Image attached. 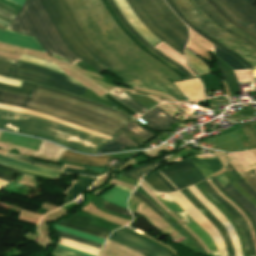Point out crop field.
Instances as JSON below:
<instances>
[{
  "label": "crop field",
  "mask_w": 256,
  "mask_h": 256,
  "mask_svg": "<svg viewBox=\"0 0 256 256\" xmlns=\"http://www.w3.org/2000/svg\"><path fill=\"white\" fill-rule=\"evenodd\" d=\"M66 2L80 22L85 34L111 60L141 79L145 84L169 89L184 98L180 91L166 79L174 81L180 78L139 49L121 31L101 0H66ZM152 86L148 87L166 92L178 101L185 99L169 90Z\"/></svg>",
  "instance_id": "1"
},
{
  "label": "crop field",
  "mask_w": 256,
  "mask_h": 256,
  "mask_svg": "<svg viewBox=\"0 0 256 256\" xmlns=\"http://www.w3.org/2000/svg\"><path fill=\"white\" fill-rule=\"evenodd\" d=\"M0 102L37 110L112 137L130 119L101 104L40 86L30 97L3 92Z\"/></svg>",
  "instance_id": "2"
},
{
  "label": "crop field",
  "mask_w": 256,
  "mask_h": 256,
  "mask_svg": "<svg viewBox=\"0 0 256 256\" xmlns=\"http://www.w3.org/2000/svg\"><path fill=\"white\" fill-rule=\"evenodd\" d=\"M0 128L40 136L90 154H96V151L107 143L99 137L56 122L2 109H0Z\"/></svg>",
  "instance_id": "3"
},
{
  "label": "crop field",
  "mask_w": 256,
  "mask_h": 256,
  "mask_svg": "<svg viewBox=\"0 0 256 256\" xmlns=\"http://www.w3.org/2000/svg\"><path fill=\"white\" fill-rule=\"evenodd\" d=\"M6 29L35 37L49 54L80 59L62 40L40 0H26Z\"/></svg>",
  "instance_id": "4"
},
{
  "label": "crop field",
  "mask_w": 256,
  "mask_h": 256,
  "mask_svg": "<svg viewBox=\"0 0 256 256\" xmlns=\"http://www.w3.org/2000/svg\"><path fill=\"white\" fill-rule=\"evenodd\" d=\"M127 2L154 35L183 53L188 38L187 27L163 0H127Z\"/></svg>",
  "instance_id": "5"
},
{
  "label": "crop field",
  "mask_w": 256,
  "mask_h": 256,
  "mask_svg": "<svg viewBox=\"0 0 256 256\" xmlns=\"http://www.w3.org/2000/svg\"><path fill=\"white\" fill-rule=\"evenodd\" d=\"M23 62L0 57V75L23 80V81L37 83L45 87H52V88L63 90L68 93L76 94L79 96H81L85 92V90L88 89L68 76L61 74L86 89L80 87L79 85L75 84L74 82L68 80L63 76L58 75L60 73L55 74L57 72L52 73L54 71L48 68L40 67V66L25 62V63L31 64L52 72L25 64Z\"/></svg>",
  "instance_id": "6"
},
{
  "label": "crop field",
  "mask_w": 256,
  "mask_h": 256,
  "mask_svg": "<svg viewBox=\"0 0 256 256\" xmlns=\"http://www.w3.org/2000/svg\"><path fill=\"white\" fill-rule=\"evenodd\" d=\"M160 172L177 188L183 189L203 179L204 175L188 159L160 170ZM154 175L160 179L171 191L176 190L159 172Z\"/></svg>",
  "instance_id": "7"
},
{
  "label": "crop field",
  "mask_w": 256,
  "mask_h": 256,
  "mask_svg": "<svg viewBox=\"0 0 256 256\" xmlns=\"http://www.w3.org/2000/svg\"><path fill=\"white\" fill-rule=\"evenodd\" d=\"M41 2L69 48L99 73L106 69L100 63H98L91 55H89L73 37L69 27L61 17L54 2L52 0H41Z\"/></svg>",
  "instance_id": "8"
},
{
  "label": "crop field",
  "mask_w": 256,
  "mask_h": 256,
  "mask_svg": "<svg viewBox=\"0 0 256 256\" xmlns=\"http://www.w3.org/2000/svg\"><path fill=\"white\" fill-rule=\"evenodd\" d=\"M228 16L256 34V8L248 0H213Z\"/></svg>",
  "instance_id": "9"
},
{
  "label": "crop field",
  "mask_w": 256,
  "mask_h": 256,
  "mask_svg": "<svg viewBox=\"0 0 256 256\" xmlns=\"http://www.w3.org/2000/svg\"><path fill=\"white\" fill-rule=\"evenodd\" d=\"M58 7L61 15L63 16L64 20L70 27L73 35L82 45V47L94 57H96L101 63L105 66H110L114 64L111 60H109L105 55H103L98 48L91 42V40L84 34L80 24L78 23L77 19L67 6L65 0H53ZM95 58V59H96ZM96 59V60H97Z\"/></svg>",
  "instance_id": "10"
},
{
  "label": "crop field",
  "mask_w": 256,
  "mask_h": 256,
  "mask_svg": "<svg viewBox=\"0 0 256 256\" xmlns=\"http://www.w3.org/2000/svg\"><path fill=\"white\" fill-rule=\"evenodd\" d=\"M181 12L198 28L209 36L219 39L228 34L211 22L192 0H173Z\"/></svg>",
  "instance_id": "11"
},
{
  "label": "crop field",
  "mask_w": 256,
  "mask_h": 256,
  "mask_svg": "<svg viewBox=\"0 0 256 256\" xmlns=\"http://www.w3.org/2000/svg\"><path fill=\"white\" fill-rule=\"evenodd\" d=\"M230 165L238 172L256 167V157L251 151L227 153ZM241 178L256 192V168L240 173Z\"/></svg>",
  "instance_id": "12"
},
{
  "label": "crop field",
  "mask_w": 256,
  "mask_h": 256,
  "mask_svg": "<svg viewBox=\"0 0 256 256\" xmlns=\"http://www.w3.org/2000/svg\"><path fill=\"white\" fill-rule=\"evenodd\" d=\"M110 240L132 248L144 256H170L159 247L121 229L113 232Z\"/></svg>",
  "instance_id": "13"
},
{
  "label": "crop field",
  "mask_w": 256,
  "mask_h": 256,
  "mask_svg": "<svg viewBox=\"0 0 256 256\" xmlns=\"http://www.w3.org/2000/svg\"><path fill=\"white\" fill-rule=\"evenodd\" d=\"M198 7L210 18L214 23L222 29L237 37L241 41L256 49V39L234 27L232 24L222 18L219 13L206 0H193Z\"/></svg>",
  "instance_id": "14"
},
{
  "label": "crop field",
  "mask_w": 256,
  "mask_h": 256,
  "mask_svg": "<svg viewBox=\"0 0 256 256\" xmlns=\"http://www.w3.org/2000/svg\"><path fill=\"white\" fill-rule=\"evenodd\" d=\"M160 201L168 208H172L176 204L169 196L160 199ZM187 227L194 231L203 241L206 247L211 252L212 256H218L217 248L211 237L182 209L174 213Z\"/></svg>",
  "instance_id": "15"
},
{
  "label": "crop field",
  "mask_w": 256,
  "mask_h": 256,
  "mask_svg": "<svg viewBox=\"0 0 256 256\" xmlns=\"http://www.w3.org/2000/svg\"><path fill=\"white\" fill-rule=\"evenodd\" d=\"M0 42L44 52L43 48L39 45L35 38L18 34L6 29L3 31L0 30Z\"/></svg>",
  "instance_id": "16"
},
{
  "label": "crop field",
  "mask_w": 256,
  "mask_h": 256,
  "mask_svg": "<svg viewBox=\"0 0 256 256\" xmlns=\"http://www.w3.org/2000/svg\"><path fill=\"white\" fill-rule=\"evenodd\" d=\"M180 191L219 230L224 240L228 256H234L231 241L224 227L204 208V206L189 191H187L186 189Z\"/></svg>",
  "instance_id": "17"
},
{
  "label": "crop field",
  "mask_w": 256,
  "mask_h": 256,
  "mask_svg": "<svg viewBox=\"0 0 256 256\" xmlns=\"http://www.w3.org/2000/svg\"><path fill=\"white\" fill-rule=\"evenodd\" d=\"M141 118H143L147 122L145 125L155 130H170L172 128L169 125L176 122V120H174L172 117L167 115L157 106L151 109L150 111H148Z\"/></svg>",
  "instance_id": "18"
},
{
  "label": "crop field",
  "mask_w": 256,
  "mask_h": 256,
  "mask_svg": "<svg viewBox=\"0 0 256 256\" xmlns=\"http://www.w3.org/2000/svg\"><path fill=\"white\" fill-rule=\"evenodd\" d=\"M105 7L107 8V10L109 11V13L111 14V16L114 18V20L116 21V23L119 25V27L122 29V31H124L126 33V35L138 46L140 47L142 50H144L145 52H147L148 54H150L151 56H153L155 59H157L158 61H160L161 63H163L164 65H166L168 68H170L171 70H173L181 79L186 78V76L180 72L177 68H175L173 65H171L169 62H167L166 60L162 59L161 57H159L158 55H156L155 53H153L151 50H149L145 45H143L135 36H133L130 31L124 26V24L120 21V19L117 18L116 14L114 13V11L112 10L111 6L109 5V3L107 2V0H102Z\"/></svg>",
  "instance_id": "19"
},
{
  "label": "crop field",
  "mask_w": 256,
  "mask_h": 256,
  "mask_svg": "<svg viewBox=\"0 0 256 256\" xmlns=\"http://www.w3.org/2000/svg\"><path fill=\"white\" fill-rule=\"evenodd\" d=\"M203 185L206 187V189L219 201L221 202L231 213L232 215L238 220L245 236H246V240L248 243V247H249V252H250V256H256L255 253V249H254V244H253V240H252V236L251 233L248 229V225L245 222V220L243 219V217L241 216V214L236 211L230 204H228L226 201H224L215 191L214 189L210 186V184L206 181L203 182Z\"/></svg>",
  "instance_id": "20"
},
{
  "label": "crop field",
  "mask_w": 256,
  "mask_h": 256,
  "mask_svg": "<svg viewBox=\"0 0 256 256\" xmlns=\"http://www.w3.org/2000/svg\"><path fill=\"white\" fill-rule=\"evenodd\" d=\"M169 6L174 10V12L189 26L191 27L195 32H197L198 34L202 35L203 37H205L206 39H208L209 41H211L213 44L217 45L218 47H220L221 49H223L224 51H226L228 54H230L232 57H234L237 61H239L242 65H244L246 68H253L252 66H250L243 58H241L239 55H237L236 53H234L232 50L224 47L222 44H220L218 41L214 40L213 38L209 37L208 35H206L204 32H202L201 30H199L196 26H194L181 12L180 10L177 8V6L173 3L172 0H165Z\"/></svg>",
  "instance_id": "21"
},
{
  "label": "crop field",
  "mask_w": 256,
  "mask_h": 256,
  "mask_svg": "<svg viewBox=\"0 0 256 256\" xmlns=\"http://www.w3.org/2000/svg\"><path fill=\"white\" fill-rule=\"evenodd\" d=\"M113 10L115 11V13L117 14L118 18H120L122 20V22L126 25V27L131 31V33L133 35H135L143 44H145L149 49H151L153 52H155L156 54L162 56L163 58H165L167 61H169L170 63H172L174 66H176L179 70H181L187 77H190L191 75L178 63L174 62L173 60H171L170 58H168L167 56H165L164 54H162L160 51H158L156 48H154L151 44H149L145 39H143L132 27L131 25L126 21V19L123 17V15L120 13V11L117 9V7L115 6L113 0H109Z\"/></svg>",
  "instance_id": "22"
},
{
  "label": "crop field",
  "mask_w": 256,
  "mask_h": 256,
  "mask_svg": "<svg viewBox=\"0 0 256 256\" xmlns=\"http://www.w3.org/2000/svg\"><path fill=\"white\" fill-rule=\"evenodd\" d=\"M113 157L109 156H86L82 154L73 153L67 151L63 154L61 159L74 161L76 163L88 164V165H107V161Z\"/></svg>",
  "instance_id": "23"
},
{
  "label": "crop field",
  "mask_w": 256,
  "mask_h": 256,
  "mask_svg": "<svg viewBox=\"0 0 256 256\" xmlns=\"http://www.w3.org/2000/svg\"><path fill=\"white\" fill-rule=\"evenodd\" d=\"M188 159H190L200 169L206 178L213 175L223 167L218 158L200 159L193 156Z\"/></svg>",
  "instance_id": "24"
},
{
  "label": "crop field",
  "mask_w": 256,
  "mask_h": 256,
  "mask_svg": "<svg viewBox=\"0 0 256 256\" xmlns=\"http://www.w3.org/2000/svg\"><path fill=\"white\" fill-rule=\"evenodd\" d=\"M0 140L6 141L11 144L18 145V146H22V147H25L28 149H32L35 151L37 150V148L41 142L39 140L30 139V138H26V137L14 135V134H9V133H5V132L1 133Z\"/></svg>",
  "instance_id": "25"
},
{
  "label": "crop field",
  "mask_w": 256,
  "mask_h": 256,
  "mask_svg": "<svg viewBox=\"0 0 256 256\" xmlns=\"http://www.w3.org/2000/svg\"><path fill=\"white\" fill-rule=\"evenodd\" d=\"M216 64H217L218 71L220 72L222 77L226 80L231 93H239L237 78L234 75L233 71L217 57H216Z\"/></svg>",
  "instance_id": "26"
},
{
  "label": "crop field",
  "mask_w": 256,
  "mask_h": 256,
  "mask_svg": "<svg viewBox=\"0 0 256 256\" xmlns=\"http://www.w3.org/2000/svg\"><path fill=\"white\" fill-rule=\"evenodd\" d=\"M129 195L130 193L114 187L113 189H111L110 191H108L107 193L100 197L127 209L126 200L129 197Z\"/></svg>",
  "instance_id": "27"
},
{
  "label": "crop field",
  "mask_w": 256,
  "mask_h": 256,
  "mask_svg": "<svg viewBox=\"0 0 256 256\" xmlns=\"http://www.w3.org/2000/svg\"><path fill=\"white\" fill-rule=\"evenodd\" d=\"M94 180V178L81 176L69 190V192L67 193L68 196L65 198V200L72 201L73 199H75L78 195L85 191Z\"/></svg>",
  "instance_id": "28"
},
{
  "label": "crop field",
  "mask_w": 256,
  "mask_h": 256,
  "mask_svg": "<svg viewBox=\"0 0 256 256\" xmlns=\"http://www.w3.org/2000/svg\"><path fill=\"white\" fill-rule=\"evenodd\" d=\"M118 90L119 92H121V95H117L115 94L112 90ZM110 91H108L111 95H113L115 98H117L119 101L125 103L126 105H128L129 107H131L132 109H134L135 111H137L138 113L142 114L143 112L147 111L148 109H146L144 106H142L141 104L137 103L136 101H134L133 99H131L129 96H127L125 93H123L121 90H119L117 87L114 88Z\"/></svg>",
  "instance_id": "29"
},
{
  "label": "crop field",
  "mask_w": 256,
  "mask_h": 256,
  "mask_svg": "<svg viewBox=\"0 0 256 256\" xmlns=\"http://www.w3.org/2000/svg\"><path fill=\"white\" fill-rule=\"evenodd\" d=\"M36 87H37L36 85H32L24 82L22 83L20 88L0 83V90H5L8 92H12L20 95H26V96H30L31 93L36 89Z\"/></svg>",
  "instance_id": "30"
},
{
  "label": "crop field",
  "mask_w": 256,
  "mask_h": 256,
  "mask_svg": "<svg viewBox=\"0 0 256 256\" xmlns=\"http://www.w3.org/2000/svg\"><path fill=\"white\" fill-rule=\"evenodd\" d=\"M0 160H3L5 162H8V163L20 166V167H24V168H28V169H32V170H36V171L56 175V176H60V175L64 174V173H60L58 171H54V170H51V169L28 165V164L22 163L20 161H17V160H14V159H11V158H8V157H5V156H1V155H0Z\"/></svg>",
  "instance_id": "31"
},
{
  "label": "crop field",
  "mask_w": 256,
  "mask_h": 256,
  "mask_svg": "<svg viewBox=\"0 0 256 256\" xmlns=\"http://www.w3.org/2000/svg\"><path fill=\"white\" fill-rule=\"evenodd\" d=\"M226 191H228L234 198H236L241 204H243L255 217L256 219V208L253 206V204L245 199L243 196H241L233 187L231 184H228L224 187Z\"/></svg>",
  "instance_id": "32"
},
{
  "label": "crop field",
  "mask_w": 256,
  "mask_h": 256,
  "mask_svg": "<svg viewBox=\"0 0 256 256\" xmlns=\"http://www.w3.org/2000/svg\"><path fill=\"white\" fill-rule=\"evenodd\" d=\"M162 160V159H160ZM160 160L155 161L151 164H147V165H143V166H139L136 167L134 169H131L129 171L123 172L121 174L129 177V178H133L138 180L140 176L144 175L150 168L154 167ZM151 170V169H150Z\"/></svg>",
  "instance_id": "33"
},
{
  "label": "crop field",
  "mask_w": 256,
  "mask_h": 256,
  "mask_svg": "<svg viewBox=\"0 0 256 256\" xmlns=\"http://www.w3.org/2000/svg\"><path fill=\"white\" fill-rule=\"evenodd\" d=\"M113 72H115L120 78H122L124 81H128V82H135V83H141L138 79H136L135 77H133L132 75H130L128 72H126L125 70H123L122 68H120L118 65L114 64L112 66L109 67ZM133 84L135 86H139V87H144L147 88L145 85H141V84H134V83H130ZM149 89V88H148Z\"/></svg>",
  "instance_id": "34"
},
{
  "label": "crop field",
  "mask_w": 256,
  "mask_h": 256,
  "mask_svg": "<svg viewBox=\"0 0 256 256\" xmlns=\"http://www.w3.org/2000/svg\"><path fill=\"white\" fill-rule=\"evenodd\" d=\"M125 128L146 140L155 135L141 127L138 123H136L133 120L127 126H125Z\"/></svg>",
  "instance_id": "35"
},
{
  "label": "crop field",
  "mask_w": 256,
  "mask_h": 256,
  "mask_svg": "<svg viewBox=\"0 0 256 256\" xmlns=\"http://www.w3.org/2000/svg\"><path fill=\"white\" fill-rule=\"evenodd\" d=\"M215 55L223 60L225 63L230 65L233 70L238 69H245L239 62L229 56L226 52L220 50L219 48L215 47Z\"/></svg>",
  "instance_id": "36"
},
{
  "label": "crop field",
  "mask_w": 256,
  "mask_h": 256,
  "mask_svg": "<svg viewBox=\"0 0 256 256\" xmlns=\"http://www.w3.org/2000/svg\"><path fill=\"white\" fill-rule=\"evenodd\" d=\"M54 228L57 229V230L75 235V236H79V237H82V238H85V239H88V240H91V241L101 243V244H103V242H104V239H101V238H98V237H95V236H92V235H89V234L81 233V232H78V231L70 230V229H67V228L62 227V226L54 225Z\"/></svg>",
  "instance_id": "37"
},
{
  "label": "crop field",
  "mask_w": 256,
  "mask_h": 256,
  "mask_svg": "<svg viewBox=\"0 0 256 256\" xmlns=\"http://www.w3.org/2000/svg\"><path fill=\"white\" fill-rule=\"evenodd\" d=\"M144 180L155 190L160 192H169L170 190L160 181L158 180L153 174L144 178Z\"/></svg>",
  "instance_id": "38"
},
{
  "label": "crop field",
  "mask_w": 256,
  "mask_h": 256,
  "mask_svg": "<svg viewBox=\"0 0 256 256\" xmlns=\"http://www.w3.org/2000/svg\"><path fill=\"white\" fill-rule=\"evenodd\" d=\"M101 97H103L105 100H107L110 104H112L117 109H119V110H121V111H123V112H125V113H127L131 116L136 113L133 110H131L130 108H128L125 105H123L122 103H120L119 101H117L115 98H113L108 93L101 96Z\"/></svg>",
  "instance_id": "39"
},
{
  "label": "crop field",
  "mask_w": 256,
  "mask_h": 256,
  "mask_svg": "<svg viewBox=\"0 0 256 256\" xmlns=\"http://www.w3.org/2000/svg\"><path fill=\"white\" fill-rule=\"evenodd\" d=\"M112 141L119 143L125 147H140V145H138L132 139H130L120 133L116 137H114V139Z\"/></svg>",
  "instance_id": "40"
},
{
  "label": "crop field",
  "mask_w": 256,
  "mask_h": 256,
  "mask_svg": "<svg viewBox=\"0 0 256 256\" xmlns=\"http://www.w3.org/2000/svg\"><path fill=\"white\" fill-rule=\"evenodd\" d=\"M21 60H25V61H29V62H33V63H37V64H40V65H44V66H47V67H50V68H53L59 72H62L64 73L60 68H58L56 65L52 64V63H49V62H45V61H42V60H39V59H36V58H32V57H29V56H25V55H22L21 54V57H20ZM65 74V73H64Z\"/></svg>",
  "instance_id": "41"
},
{
  "label": "crop field",
  "mask_w": 256,
  "mask_h": 256,
  "mask_svg": "<svg viewBox=\"0 0 256 256\" xmlns=\"http://www.w3.org/2000/svg\"><path fill=\"white\" fill-rule=\"evenodd\" d=\"M57 232H58V235L60 237L72 239V240L87 244L89 246H92V247H95V248H98V249H100V247H101V244L94 243V242H91V241H88V240H85V239H82V238H79V237H75V236H72V235H69V234H66V233H63V232H59V231H57Z\"/></svg>",
  "instance_id": "42"
},
{
  "label": "crop field",
  "mask_w": 256,
  "mask_h": 256,
  "mask_svg": "<svg viewBox=\"0 0 256 256\" xmlns=\"http://www.w3.org/2000/svg\"><path fill=\"white\" fill-rule=\"evenodd\" d=\"M240 127L243 129L246 137L250 141V143L253 146V148H256V133L253 131V129L250 126V124L243 125V126H240Z\"/></svg>",
  "instance_id": "43"
},
{
  "label": "crop field",
  "mask_w": 256,
  "mask_h": 256,
  "mask_svg": "<svg viewBox=\"0 0 256 256\" xmlns=\"http://www.w3.org/2000/svg\"><path fill=\"white\" fill-rule=\"evenodd\" d=\"M57 224L65 226V227H69V228H72V229H75V230H79V231H82V232H85V233H89V234H92V235H95V236H98V237H101V238H104V239H106V237H107V235L100 234L98 232L92 231V230L87 229V228H83V227H79V226H75V225H71V224H67V223H63V222H59Z\"/></svg>",
  "instance_id": "44"
},
{
  "label": "crop field",
  "mask_w": 256,
  "mask_h": 256,
  "mask_svg": "<svg viewBox=\"0 0 256 256\" xmlns=\"http://www.w3.org/2000/svg\"><path fill=\"white\" fill-rule=\"evenodd\" d=\"M219 13L222 17H224L226 20H228L230 23H232L234 26L244 30L246 33L249 35L253 36L256 38V35L253 33L249 32L248 30L244 29L243 27L239 26L237 23H235L230 17H228L212 0H207Z\"/></svg>",
  "instance_id": "45"
},
{
  "label": "crop field",
  "mask_w": 256,
  "mask_h": 256,
  "mask_svg": "<svg viewBox=\"0 0 256 256\" xmlns=\"http://www.w3.org/2000/svg\"><path fill=\"white\" fill-rule=\"evenodd\" d=\"M6 156H10V157H13V158H16V159H20V160H23V161H26V162H29V163H33V164H37V165H42V166L54 168V169L61 170V171L63 170L62 167H57V166H53V165H48V164L36 162V161H34L32 159L25 158V157H22V156H19V155H16V154H12V153H9V152H7Z\"/></svg>",
  "instance_id": "46"
},
{
  "label": "crop field",
  "mask_w": 256,
  "mask_h": 256,
  "mask_svg": "<svg viewBox=\"0 0 256 256\" xmlns=\"http://www.w3.org/2000/svg\"><path fill=\"white\" fill-rule=\"evenodd\" d=\"M19 172V170H15L3 165H0V178L4 180L10 181L13 173Z\"/></svg>",
  "instance_id": "47"
},
{
  "label": "crop field",
  "mask_w": 256,
  "mask_h": 256,
  "mask_svg": "<svg viewBox=\"0 0 256 256\" xmlns=\"http://www.w3.org/2000/svg\"><path fill=\"white\" fill-rule=\"evenodd\" d=\"M122 149H124V147L110 141L107 144H105L100 150H98V153L118 151V150H122Z\"/></svg>",
  "instance_id": "48"
},
{
  "label": "crop field",
  "mask_w": 256,
  "mask_h": 256,
  "mask_svg": "<svg viewBox=\"0 0 256 256\" xmlns=\"http://www.w3.org/2000/svg\"><path fill=\"white\" fill-rule=\"evenodd\" d=\"M230 183L233 185V187L245 198L249 199L256 207V200L251 197L249 194H247L236 182L234 179L230 181Z\"/></svg>",
  "instance_id": "49"
},
{
  "label": "crop field",
  "mask_w": 256,
  "mask_h": 256,
  "mask_svg": "<svg viewBox=\"0 0 256 256\" xmlns=\"http://www.w3.org/2000/svg\"><path fill=\"white\" fill-rule=\"evenodd\" d=\"M104 208H107L109 210L118 212L120 214H123V215H126V216L132 218V216L130 215L129 211L124 209V208H122V207H119V206H116V205L108 203L107 205L104 206Z\"/></svg>",
  "instance_id": "50"
},
{
  "label": "crop field",
  "mask_w": 256,
  "mask_h": 256,
  "mask_svg": "<svg viewBox=\"0 0 256 256\" xmlns=\"http://www.w3.org/2000/svg\"><path fill=\"white\" fill-rule=\"evenodd\" d=\"M136 196H138L140 199H142L146 204H148L150 207H152L157 213H159L162 217L166 216L161 210H159L151 201H149L145 196L140 194L138 191L135 190L133 193Z\"/></svg>",
  "instance_id": "51"
},
{
  "label": "crop field",
  "mask_w": 256,
  "mask_h": 256,
  "mask_svg": "<svg viewBox=\"0 0 256 256\" xmlns=\"http://www.w3.org/2000/svg\"><path fill=\"white\" fill-rule=\"evenodd\" d=\"M52 255H55V256H84V255H80V254L70 252V251H67L64 249H60L57 247H55L54 251L52 252Z\"/></svg>",
  "instance_id": "52"
},
{
  "label": "crop field",
  "mask_w": 256,
  "mask_h": 256,
  "mask_svg": "<svg viewBox=\"0 0 256 256\" xmlns=\"http://www.w3.org/2000/svg\"><path fill=\"white\" fill-rule=\"evenodd\" d=\"M213 180H214L215 183L222 189V191H223L224 193H226L228 196H230L235 202H237L241 207H243V208L246 210V212L248 213V215L250 216V218L252 219V221H253V223L255 224V227H256V221H255V219L253 218V216L250 214V212H249L244 206H242L236 199H234L229 193H227V192L224 190V188L217 182V180L215 179V177H213Z\"/></svg>",
  "instance_id": "53"
},
{
  "label": "crop field",
  "mask_w": 256,
  "mask_h": 256,
  "mask_svg": "<svg viewBox=\"0 0 256 256\" xmlns=\"http://www.w3.org/2000/svg\"><path fill=\"white\" fill-rule=\"evenodd\" d=\"M0 164L6 165V166H9V167H12V168H16V169H19V170H23V171H27V172H31V173H35V174H40V175L56 178V176H52V175H48V174H44V173H40V172H36V171H32V170L20 168V167L10 165V164H7V163L1 162V161H0Z\"/></svg>",
  "instance_id": "54"
},
{
  "label": "crop field",
  "mask_w": 256,
  "mask_h": 256,
  "mask_svg": "<svg viewBox=\"0 0 256 256\" xmlns=\"http://www.w3.org/2000/svg\"><path fill=\"white\" fill-rule=\"evenodd\" d=\"M235 174V173H234ZM236 175V174H235ZM237 177V176H236ZM238 178V177H237ZM239 179V178H238ZM237 182L243 189H245L251 196L256 198V193L241 179Z\"/></svg>",
  "instance_id": "55"
},
{
  "label": "crop field",
  "mask_w": 256,
  "mask_h": 256,
  "mask_svg": "<svg viewBox=\"0 0 256 256\" xmlns=\"http://www.w3.org/2000/svg\"><path fill=\"white\" fill-rule=\"evenodd\" d=\"M65 172L68 173H77V174H83V175H89V176H96V173L91 171H80V170H74V169H65Z\"/></svg>",
  "instance_id": "56"
},
{
  "label": "crop field",
  "mask_w": 256,
  "mask_h": 256,
  "mask_svg": "<svg viewBox=\"0 0 256 256\" xmlns=\"http://www.w3.org/2000/svg\"><path fill=\"white\" fill-rule=\"evenodd\" d=\"M120 133H122V134H124V135H126V136H128V137H130V138H132V139H134V140H137L139 143H144V142H146V141L143 140L142 138H140V137H138V136H136V135H134V134H132V133L126 131L125 129H123Z\"/></svg>",
  "instance_id": "57"
},
{
  "label": "crop field",
  "mask_w": 256,
  "mask_h": 256,
  "mask_svg": "<svg viewBox=\"0 0 256 256\" xmlns=\"http://www.w3.org/2000/svg\"><path fill=\"white\" fill-rule=\"evenodd\" d=\"M0 16L4 17L10 21L15 17L2 9H0Z\"/></svg>",
  "instance_id": "58"
},
{
  "label": "crop field",
  "mask_w": 256,
  "mask_h": 256,
  "mask_svg": "<svg viewBox=\"0 0 256 256\" xmlns=\"http://www.w3.org/2000/svg\"><path fill=\"white\" fill-rule=\"evenodd\" d=\"M0 8H2V9H4V10L8 11L9 13H11V14H13V15H16V14L18 13V11L14 10V9H12V8H10V7L6 6V5H4V4H1V3H0Z\"/></svg>",
  "instance_id": "59"
},
{
  "label": "crop field",
  "mask_w": 256,
  "mask_h": 256,
  "mask_svg": "<svg viewBox=\"0 0 256 256\" xmlns=\"http://www.w3.org/2000/svg\"><path fill=\"white\" fill-rule=\"evenodd\" d=\"M57 246L68 249V250H71V251H74V252H78V253H81V254H84V255H87V256H95V255H91V254H88V253H85V252H82V251H78V250H75V249H72V248H68V247H65V246H60V245H57Z\"/></svg>",
  "instance_id": "60"
},
{
  "label": "crop field",
  "mask_w": 256,
  "mask_h": 256,
  "mask_svg": "<svg viewBox=\"0 0 256 256\" xmlns=\"http://www.w3.org/2000/svg\"><path fill=\"white\" fill-rule=\"evenodd\" d=\"M10 2L22 6L25 0H9Z\"/></svg>",
  "instance_id": "61"
},
{
  "label": "crop field",
  "mask_w": 256,
  "mask_h": 256,
  "mask_svg": "<svg viewBox=\"0 0 256 256\" xmlns=\"http://www.w3.org/2000/svg\"><path fill=\"white\" fill-rule=\"evenodd\" d=\"M223 174H224V176L227 178L228 181L231 179V177H230L228 171H226V172L223 173Z\"/></svg>",
  "instance_id": "62"
},
{
  "label": "crop field",
  "mask_w": 256,
  "mask_h": 256,
  "mask_svg": "<svg viewBox=\"0 0 256 256\" xmlns=\"http://www.w3.org/2000/svg\"><path fill=\"white\" fill-rule=\"evenodd\" d=\"M0 23L3 24V25H5V26L8 25V23H6V22H4V21H2V20H0Z\"/></svg>",
  "instance_id": "63"
},
{
  "label": "crop field",
  "mask_w": 256,
  "mask_h": 256,
  "mask_svg": "<svg viewBox=\"0 0 256 256\" xmlns=\"http://www.w3.org/2000/svg\"><path fill=\"white\" fill-rule=\"evenodd\" d=\"M5 28V26L0 24V29L3 30Z\"/></svg>",
  "instance_id": "64"
},
{
  "label": "crop field",
  "mask_w": 256,
  "mask_h": 256,
  "mask_svg": "<svg viewBox=\"0 0 256 256\" xmlns=\"http://www.w3.org/2000/svg\"><path fill=\"white\" fill-rule=\"evenodd\" d=\"M1 92H2V91H0V95H1Z\"/></svg>",
  "instance_id": "65"
}]
</instances>
